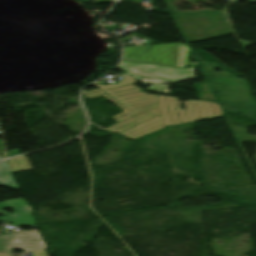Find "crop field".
<instances>
[{"instance_id": "obj_8", "label": "crop field", "mask_w": 256, "mask_h": 256, "mask_svg": "<svg viewBox=\"0 0 256 256\" xmlns=\"http://www.w3.org/2000/svg\"><path fill=\"white\" fill-rule=\"evenodd\" d=\"M11 229H4L0 235H3V234H7V233H10Z\"/></svg>"}, {"instance_id": "obj_4", "label": "crop field", "mask_w": 256, "mask_h": 256, "mask_svg": "<svg viewBox=\"0 0 256 256\" xmlns=\"http://www.w3.org/2000/svg\"><path fill=\"white\" fill-rule=\"evenodd\" d=\"M17 248L29 250L33 256H47L44 251L45 245L37 231H22L0 236V252L12 253V249Z\"/></svg>"}, {"instance_id": "obj_7", "label": "crop field", "mask_w": 256, "mask_h": 256, "mask_svg": "<svg viewBox=\"0 0 256 256\" xmlns=\"http://www.w3.org/2000/svg\"><path fill=\"white\" fill-rule=\"evenodd\" d=\"M13 173L32 169L28 159L24 156L7 160Z\"/></svg>"}, {"instance_id": "obj_9", "label": "crop field", "mask_w": 256, "mask_h": 256, "mask_svg": "<svg viewBox=\"0 0 256 256\" xmlns=\"http://www.w3.org/2000/svg\"><path fill=\"white\" fill-rule=\"evenodd\" d=\"M249 2H256V0H248Z\"/></svg>"}, {"instance_id": "obj_1", "label": "crop field", "mask_w": 256, "mask_h": 256, "mask_svg": "<svg viewBox=\"0 0 256 256\" xmlns=\"http://www.w3.org/2000/svg\"><path fill=\"white\" fill-rule=\"evenodd\" d=\"M136 83L135 78L127 75L121 78L119 85L102 86L95 83L93 85L99 89L84 93L88 98L102 95L116 106L125 107L122 108V113L113 117L118 123L106 128L107 130L137 139L167 125L223 115L206 81L193 84L200 101L184 102L185 110L180 109L181 102L177 98L146 94L134 86Z\"/></svg>"}, {"instance_id": "obj_10", "label": "crop field", "mask_w": 256, "mask_h": 256, "mask_svg": "<svg viewBox=\"0 0 256 256\" xmlns=\"http://www.w3.org/2000/svg\"><path fill=\"white\" fill-rule=\"evenodd\" d=\"M1 160H3V159L0 158V161H1Z\"/></svg>"}, {"instance_id": "obj_6", "label": "crop field", "mask_w": 256, "mask_h": 256, "mask_svg": "<svg viewBox=\"0 0 256 256\" xmlns=\"http://www.w3.org/2000/svg\"><path fill=\"white\" fill-rule=\"evenodd\" d=\"M0 185L17 190L16 182L12 176L7 162L0 164Z\"/></svg>"}, {"instance_id": "obj_3", "label": "crop field", "mask_w": 256, "mask_h": 256, "mask_svg": "<svg viewBox=\"0 0 256 256\" xmlns=\"http://www.w3.org/2000/svg\"><path fill=\"white\" fill-rule=\"evenodd\" d=\"M147 46L124 47L123 59L182 67L188 66L190 50L185 44H157L150 45L149 48ZM134 47L137 48L134 49ZM145 50L148 52H145Z\"/></svg>"}, {"instance_id": "obj_2", "label": "crop field", "mask_w": 256, "mask_h": 256, "mask_svg": "<svg viewBox=\"0 0 256 256\" xmlns=\"http://www.w3.org/2000/svg\"><path fill=\"white\" fill-rule=\"evenodd\" d=\"M196 63H191L190 69L136 63L122 61L118 67L126 73L134 76L137 81L159 83L147 88L150 92L168 95V86L160 85V83H173L195 78L192 70L195 69Z\"/></svg>"}, {"instance_id": "obj_5", "label": "crop field", "mask_w": 256, "mask_h": 256, "mask_svg": "<svg viewBox=\"0 0 256 256\" xmlns=\"http://www.w3.org/2000/svg\"><path fill=\"white\" fill-rule=\"evenodd\" d=\"M2 208H11L14 213L3 212ZM0 221H9L16 226H32L36 225L27 202L18 198L7 202L0 203Z\"/></svg>"}]
</instances>
